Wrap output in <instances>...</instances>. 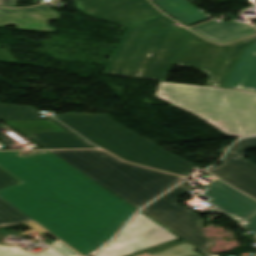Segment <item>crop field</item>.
<instances>
[{
    "mask_svg": "<svg viewBox=\"0 0 256 256\" xmlns=\"http://www.w3.org/2000/svg\"><path fill=\"white\" fill-rule=\"evenodd\" d=\"M254 42L256 36L218 45L190 32L174 64L195 67L211 76L206 86L223 88L243 49Z\"/></svg>",
    "mask_w": 256,
    "mask_h": 256,
    "instance_id": "dd49c442",
    "label": "crop field"
},
{
    "mask_svg": "<svg viewBox=\"0 0 256 256\" xmlns=\"http://www.w3.org/2000/svg\"><path fill=\"white\" fill-rule=\"evenodd\" d=\"M216 255V254H215ZM215 255H212V256H215Z\"/></svg>",
    "mask_w": 256,
    "mask_h": 256,
    "instance_id": "4177f3b9",
    "label": "crop field"
},
{
    "mask_svg": "<svg viewBox=\"0 0 256 256\" xmlns=\"http://www.w3.org/2000/svg\"><path fill=\"white\" fill-rule=\"evenodd\" d=\"M224 88L256 92V43L244 49Z\"/></svg>",
    "mask_w": 256,
    "mask_h": 256,
    "instance_id": "cbeb9de0",
    "label": "crop field"
},
{
    "mask_svg": "<svg viewBox=\"0 0 256 256\" xmlns=\"http://www.w3.org/2000/svg\"><path fill=\"white\" fill-rule=\"evenodd\" d=\"M201 188L204 190L198 194L209 198L204 202L238 222L256 213L255 201L218 180L207 186L201 184Z\"/></svg>",
    "mask_w": 256,
    "mask_h": 256,
    "instance_id": "d1516ede",
    "label": "crop field"
},
{
    "mask_svg": "<svg viewBox=\"0 0 256 256\" xmlns=\"http://www.w3.org/2000/svg\"><path fill=\"white\" fill-rule=\"evenodd\" d=\"M0 168L20 182L0 196L82 255L136 211L47 151L0 152Z\"/></svg>",
    "mask_w": 256,
    "mask_h": 256,
    "instance_id": "8a807250",
    "label": "crop field"
},
{
    "mask_svg": "<svg viewBox=\"0 0 256 256\" xmlns=\"http://www.w3.org/2000/svg\"><path fill=\"white\" fill-rule=\"evenodd\" d=\"M192 29L208 39L221 43L256 33V30L251 26L237 22L218 23L211 21L200 26L192 27Z\"/></svg>",
    "mask_w": 256,
    "mask_h": 256,
    "instance_id": "5142ce71",
    "label": "crop field"
},
{
    "mask_svg": "<svg viewBox=\"0 0 256 256\" xmlns=\"http://www.w3.org/2000/svg\"><path fill=\"white\" fill-rule=\"evenodd\" d=\"M77 9L90 17L131 27L162 15L148 0H74Z\"/></svg>",
    "mask_w": 256,
    "mask_h": 256,
    "instance_id": "5a996713",
    "label": "crop field"
},
{
    "mask_svg": "<svg viewBox=\"0 0 256 256\" xmlns=\"http://www.w3.org/2000/svg\"><path fill=\"white\" fill-rule=\"evenodd\" d=\"M165 13L186 26L209 20L211 14L202 13L186 0H153Z\"/></svg>",
    "mask_w": 256,
    "mask_h": 256,
    "instance_id": "d9b57169",
    "label": "crop field"
},
{
    "mask_svg": "<svg viewBox=\"0 0 256 256\" xmlns=\"http://www.w3.org/2000/svg\"><path fill=\"white\" fill-rule=\"evenodd\" d=\"M59 12L44 5L25 9L0 8V28L13 24L17 29L55 32L48 20L58 19Z\"/></svg>",
    "mask_w": 256,
    "mask_h": 256,
    "instance_id": "22f410ed",
    "label": "crop field"
},
{
    "mask_svg": "<svg viewBox=\"0 0 256 256\" xmlns=\"http://www.w3.org/2000/svg\"><path fill=\"white\" fill-rule=\"evenodd\" d=\"M156 97L231 137L256 134V93L160 82Z\"/></svg>",
    "mask_w": 256,
    "mask_h": 256,
    "instance_id": "34b2d1b8",
    "label": "crop field"
},
{
    "mask_svg": "<svg viewBox=\"0 0 256 256\" xmlns=\"http://www.w3.org/2000/svg\"><path fill=\"white\" fill-rule=\"evenodd\" d=\"M253 148L256 137L243 139L225 154L220 166L206 171L256 199V165L242 158Z\"/></svg>",
    "mask_w": 256,
    "mask_h": 256,
    "instance_id": "3316defc",
    "label": "crop field"
},
{
    "mask_svg": "<svg viewBox=\"0 0 256 256\" xmlns=\"http://www.w3.org/2000/svg\"><path fill=\"white\" fill-rule=\"evenodd\" d=\"M32 107L0 104V120H50L66 132H40L28 136L45 149L48 148H97L54 118H39Z\"/></svg>",
    "mask_w": 256,
    "mask_h": 256,
    "instance_id": "28ad6ade",
    "label": "crop field"
},
{
    "mask_svg": "<svg viewBox=\"0 0 256 256\" xmlns=\"http://www.w3.org/2000/svg\"><path fill=\"white\" fill-rule=\"evenodd\" d=\"M18 0H1L0 6L3 7H16Z\"/></svg>",
    "mask_w": 256,
    "mask_h": 256,
    "instance_id": "a9b5d70f",
    "label": "crop field"
},
{
    "mask_svg": "<svg viewBox=\"0 0 256 256\" xmlns=\"http://www.w3.org/2000/svg\"><path fill=\"white\" fill-rule=\"evenodd\" d=\"M50 246L53 247L55 250H57L63 256H79L70 248L63 245L61 242H59L58 240L53 242Z\"/></svg>",
    "mask_w": 256,
    "mask_h": 256,
    "instance_id": "214f88e0",
    "label": "crop field"
},
{
    "mask_svg": "<svg viewBox=\"0 0 256 256\" xmlns=\"http://www.w3.org/2000/svg\"><path fill=\"white\" fill-rule=\"evenodd\" d=\"M54 118L123 160L182 176L195 167L103 115L76 113Z\"/></svg>",
    "mask_w": 256,
    "mask_h": 256,
    "instance_id": "f4fd0767",
    "label": "crop field"
},
{
    "mask_svg": "<svg viewBox=\"0 0 256 256\" xmlns=\"http://www.w3.org/2000/svg\"><path fill=\"white\" fill-rule=\"evenodd\" d=\"M162 15L126 30L102 73L164 81L190 31Z\"/></svg>",
    "mask_w": 256,
    "mask_h": 256,
    "instance_id": "ac0d7876",
    "label": "crop field"
},
{
    "mask_svg": "<svg viewBox=\"0 0 256 256\" xmlns=\"http://www.w3.org/2000/svg\"><path fill=\"white\" fill-rule=\"evenodd\" d=\"M0 256H60L50 248L38 254L27 253L17 247L0 246Z\"/></svg>",
    "mask_w": 256,
    "mask_h": 256,
    "instance_id": "bc2a9ffb",
    "label": "crop field"
},
{
    "mask_svg": "<svg viewBox=\"0 0 256 256\" xmlns=\"http://www.w3.org/2000/svg\"><path fill=\"white\" fill-rule=\"evenodd\" d=\"M15 183L18 182L0 169V189Z\"/></svg>",
    "mask_w": 256,
    "mask_h": 256,
    "instance_id": "dafd665d",
    "label": "crop field"
},
{
    "mask_svg": "<svg viewBox=\"0 0 256 256\" xmlns=\"http://www.w3.org/2000/svg\"><path fill=\"white\" fill-rule=\"evenodd\" d=\"M28 224L30 227H32L34 230L32 231H28V232H24V234L26 233H30V232H34V231H38L41 234H48L47 231H45L44 229H42L40 226H38L36 223L30 222V223H26Z\"/></svg>",
    "mask_w": 256,
    "mask_h": 256,
    "instance_id": "00972430",
    "label": "crop field"
},
{
    "mask_svg": "<svg viewBox=\"0 0 256 256\" xmlns=\"http://www.w3.org/2000/svg\"><path fill=\"white\" fill-rule=\"evenodd\" d=\"M195 248L186 241L182 240L159 249L147 252L145 256H201L192 249Z\"/></svg>",
    "mask_w": 256,
    "mask_h": 256,
    "instance_id": "733c2abd",
    "label": "crop field"
},
{
    "mask_svg": "<svg viewBox=\"0 0 256 256\" xmlns=\"http://www.w3.org/2000/svg\"><path fill=\"white\" fill-rule=\"evenodd\" d=\"M49 152L138 209L184 179L130 165L100 150Z\"/></svg>",
    "mask_w": 256,
    "mask_h": 256,
    "instance_id": "412701ff",
    "label": "crop field"
},
{
    "mask_svg": "<svg viewBox=\"0 0 256 256\" xmlns=\"http://www.w3.org/2000/svg\"><path fill=\"white\" fill-rule=\"evenodd\" d=\"M241 226L248 229L249 231L253 232V236L256 240V214L247 220L240 223Z\"/></svg>",
    "mask_w": 256,
    "mask_h": 256,
    "instance_id": "92a150f3",
    "label": "crop field"
},
{
    "mask_svg": "<svg viewBox=\"0 0 256 256\" xmlns=\"http://www.w3.org/2000/svg\"><path fill=\"white\" fill-rule=\"evenodd\" d=\"M32 220L29 216L0 197V225Z\"/></svg>",
    "mask_w": 256,
    "mask_h": 256,
    "instance_id": "4a817a6b",
    "label": "crop field"
},
{
    "mask_svg": "<svg viewBox=\"0 0 256 256\" xmlns=\"http://www.w3.org/2000/svg\"><path fill=\"white\" fill-rule=\"evenodd\" d=\"M189 190L191 189L180 184L146 207L143 212L210 256L212 254L207 250L214 242L200 234L204 220L176 204L178 198Z\"/></svg>",
    "mask_w": 256,
    "mask_h": 256,
    "instance_id": "e52e79f7",
    "label": "crop field"
},
{
    "mask_svg": "<svg viewBox=\"0 0 256 256\" xmlns=\"http://www.w3.org/2000/svg\"><path fill=\"white\" fill-rule=\"evenodd\" d=\"M179 239L139 212L96 256H132Z\"/></svg>",
    "mask_w": 256,
    "mask_h": 256,
    "instance_id": "d8731c3e",
    "label": "crop field"
}]
</instances>
